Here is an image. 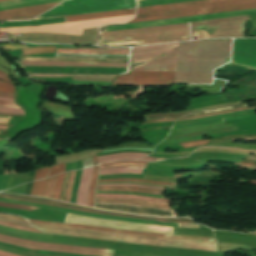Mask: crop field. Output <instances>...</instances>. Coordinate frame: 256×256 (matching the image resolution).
Listing matches in <instances>:
<instances>
[{"label": "crop field", "mask_w": 256, "mask_h": 256, "mask_svg": "<svg viewBox=\"0 0 256 256\" xmlns=\"http://www.w3.org/2000/svg\"><path fill=\"white\" fill-rule=\"evenodd\" d=\"M254 14H256V10L232 12V13H224V14H216V15H208V16H200V17H191V18L132 23V24H125V25H113V26H106L104 32L158 26V25L176 24V23H184V22H193V21H201V20L219 19V18H227V17L254 15ZM189 37H190L189 25L188 23H184V24H176V25H167V26H158V27L102 33L100 37V43L136 40L141 42L142 44H149V43H158V42H166V41L185 40V39H189Z\"/></svg>", "instance_id": "obj_1"}, {"label": "crop field", "mask_w": 256, "mask_h": 256, "mask_svg": "<svg viewBox=\"0 0 256 256\" xmlns=\"http://www.w3.org/2000/svg\"><path fill=\"white\" fill-rule=\"evenodd\" d=\"M230 40L179 43L175 83L212 84V69L226 63Z\"/></svg>", "instance_id": "obj_2"}, {"label": "crop field", "mask_w": 256, "mask_h": 256, "mask_svg": "<svg viewBox=\"0 0 256 256\" xmlns=\"http://www.w3.org/2000/svg\"><path fill=\"white\" fill-rule=\"evenodd\" d=\"M178 43L134 48L131 71H175ZM175 72H131L118 76L111 86H149L174 83ZM110 86V87H111Z\"/></svg>", "instance_id": "obj_3"}, {"label": "crop field", "mask_w": 256, "mask_h": 256, "mask_svg": "<svg viewBox=\"0 0 256 256\" xmlns=\"http://www.w3.org/2000/svg\"><path fill=\"white\" fill-rule=\"evenodd\" d=\"M256 8V0H204L138 8L130 22ZM129 22V23H130Z\"/></svg>", "instance_id": "obj_4"}, {"label": "crop field", "mask_w": 256, "mask_h": 256, "mask_svg": "<svg viewBox=\"0 0 256 256\" xmlns=\"http://www.w3.org/2000/svg\"><path fill=\"white\" fill-rule=\"evenodd\" d=\"M28 221L29 223H36V224L64 226V227L80 228V229H91V230H99V231L128 234V235H137V236L164 237V238H172V239H186V240H200V241H215V238L161 235V234H172L173 228H169V227L142 225V224L127 223V222L113 221V220L100 219V218H88V217L71 215V214H67L65 223H79V224L120 228V229L136 230V231L151 232V233H161V234H151V233L135 232V231H128V230H120V229L86 226V225H79V224H62V223H56V222L36 221V220H29V219ZM113 224H123L125 226H119V225H113Z\"/></svg>", "instance_id": "obj_5"}, {"label": "crop field", "mask_w": 256, "mask_h": 256, "mask_svg": "<svg viewBox=\"0 0 256 256\" xmlns=\"http://www.w3.org/2000/svg\"><path fill=\"white\" fill-rule=\"evenodd\" d=\"M31 226L44 233H49V234L79 236V237L103 239V240H109V241H123V242L134 243V244H151V245H162V246L217 251L215 242L144 238V237H137V236H127V235H119V234H112V233H105V232L70 229V228H62V227H51V226L34 225V224H31Z\"/></svg>", "instance_id": "obj_6"}, {"label": "crop field", "mask_w": 256, "mask_h": 256, "mask_svg": "<svg viewBox=\"0 0 256 256\" xmlns=\"http://www.w3.org/2000/svg\"><path fill=\"white\" fill-rule=\"evenodd\" d=\"M136 7L135 0H69L37 18L98 12ZM36 19V18H35Z\"/></svg>", "instance_id": "obj_7"}, {"label": "crop field", "mask_w": 256, "mask_h": 256, "mask_svg": "<svg viewBox=\"0 0 256 256\" xmlns=\"http://www.w3.org/2000/svg\"><path fill=\"white\" fill-rule=\"evenodd\" d=\"M133 17L134 15L64 23V24L47 25V26H35V27L25 26V27H16V28H4V29H0V32H10V33L57 32V33L81 35L82 28L99 27L100 25H104L107 23H122L130 20Z\"/></svg>", "instance_id": "obj_8"}, {"label": "crop field", "mask_w": 256, "mask_h": 256, "mask_svg": "<svg viewBox=\"0 0 256 256\" xmlns=\"http://www.w3.org/2000/svg\"><path fill=\"white\" fill-rule=\"evenodd\" d=\"M0 1H5V0H0ZM60 1H64V0H12V1H5V2H0V11L35 6V5L55 3V2H60ZM57 4H59V3L29 7V8H22V9H15V10H8V11H1L0 12V20L30 19L42 12L54 7Z\"/></svg>", "instance_id": "obj_9"}, {"label": "crop field", "mask_w": 256, "mask_h": 256, "mask_svg": "<svg viewBox=\"0 0 256 256\" xmlns=\"http://www.w3.org/2000/svg\"><path fill=\"white\" fill-rule=\"evenodd\" d=\"M244 20L249 16L190 23L191 31L204 30L210 38L243 37Z\"/></svg>", "instance_id": "obj_10"}, {"label": "crop field", "mask_w": 256, "mask_h": 256, "mask_svg": "<svg viewBox=\"0 0 256 256\" xmlns=\"http://www.w3.org/2000/svg\"><path fill=\"white\" fill-rule=\"evenodd\" d=\"M0 197L10 198L13 200L24 201V202H35V203L59 206V207L75 209V210H80V211H85V212H90V213H97V214L140 218V219L157 220V221L193 223V221L190 220L189 218H158V217H144V216L128 215V214H122V213H117V212H107V211H103V210H97V209H92V208H88V207L77 206V205H73V204L62 203V202H58V201H54V200L36 198V197L10 195V194H2V193H0Z\"/></svg>", "instance_id": "obj_11"}, {"label": "crop field", "mask_w": 256, "mask_h": 256, "mask_svg": "<svg viewBox=\"0 0 256 256\" xmlns=\"http://www.w3.org/2000/svg\"><path fill=\"white\" fill-rule=\"evenodd\" d=\"M131 14H135V9L114 11V12H105V13H96V14H87V15H79V16H70V17H66V18H67L68 22H72V21L106 18V17H114V16H123V15H131ZM66 18L62 17V18L26 21V22H0V28L1 27L25 26V25H44V24L63 23V22H67Z\"/></svg>", "instance_id": "obj_12"}, {"label": "crop field", "mask_w": 256, "mask_h": 256, "mask_svg": "<svg viewBox=\"0 0 256 256\" xmlns=\"http://www.w3.org/2000/svg\"><path fill=\"white\" fill-rule=\"evenodd\" d=\"M27 73L121 74L127 68L23 67Z\"/></svg>", "instance_id": "obj_13"}, {"label": "crop field", "mask_w": 256, "mask_h": 256, "mask_svg": "<svg viewBox=\"0 0 256 256\" xmlns=\"http://www.w3.org/2000/svg\"><path fill=\"white\" fill-rule=\"evenodd\" d=\"M0 201L6 202V203L25 204V205H30V206L42 207V208H46V209H52V210L60 211V212H67V213H72V214L94 216V217L114 219V220L127 221V222H136V223L150 224V225H163V226H179V227H184V224H179V223H167V222H157V221H147V220H139V219H131V218H121V217L97 215V214H90V213L74 211V210H69V209H64V208H58V207H53V206H47V205L18 202V201H13V200L4 199V198H0ZM185 227H199V226L195 225V224H185Z\"/></svg>", "instance_id": "obj_14"}, {"label": "crop field", "mask_w": 256, "mask_h": 256, "mask_svg": "<svg viewBox=\"0 0 256 256\" xmlns=\"http://www.w3.org/2000/svg\"><path fill=\"white\" fill-rule=\"evenodd\" d=\"M233 62L256 66V39H235Z\"/></svg>", "instance_id": "obj_15"}, {"label": "crop field", "mask_w": 256, "mask_h": 256, "mask_svg": "<svg viewBox=\"0 0 256 256\" xmlns=\"http://www.w3.org/2000/svg\"><path fill=\"white\" fill-rule=\"evenodd\" d=\"M95 208L128 212V213H136V214H140V215L173 217L172 210L150 209V208L133 206V205H129V204L96 203Z\"/></svg>", "instance_id": "obj_16"}, {"label": "crop field", "mask_w": 256, "mask_h": 256, "mask_svg": "<svg viewBox=\"0 0 256 256\" xmlns=\"http://www.w3.org/2000/svg\"><path fill=\"white\" fill-rule=\"evenodd\" d=\"M56 53H113L129 54V49L95 50V49H57ZM129 55H93V54H56V57H92V58H128Z\"/></svg>", "instance_id": "obj_17"}, {"label": "crop field", "mask_w": 256, "mask_h": 256, "mask_svg": "<svg viewBox=\"0 0 256 256\" xmlns=\"http://www.w3.org/2000/svg\"><path fill=\"white\" fill-rule=\"evenodd\" d=\"M24 65L127 67L128 63L21 61Z\"/></svg>", "instance_id": "obj_18"}, {"label": "crop field", "mask_w": 256, "mask_h": 256, "mask_svg": "<svg viewBox=\"0 0 256 256\" xmlns=\"http://www.w3.org/2000/svg\"><path fill=\"white\" fill-rule=\"evenodd\" d=\"M93 174V167L83 169L81 174V180L77 192V204H83L87 206V193L91 181V177Z\"/></svg>", "instance_id": "obj_19"}, {"label": "crop field", "mask_w": 256, "mask_h": 256, "mask_svg": "<svg viewBox=\"0 0 256 256\" xmlns=\"http://www.w3.org/2000/svg\"><path fill=\"white\" fill-rule=\"evenodd\" d=\"M28 75L41 76V77L73 76V79L102 81V82H109L112 78L117 76V75H72V74H28Z\"/></svg>", "instance_id": "obj_20"}, {"label": "crop field", "mask_w": 256, "mask_h": 256, "mask_svg": "<svg viewBox=\"0 0 256 256\" xmlns=\"http://www.w3.org/2000/svg\"><path fill=\"white\" fill-rule=\"evenodd\" d=\"M0 237L10 239V240H13V241H17V242H21V243L42 245V246L64 247V248H73V249H79V250H85V251H98V252H110V253H113V251H114V250H110V249L85 248V247H76V246H68V245H61V244L32 242V241L12 238V237H8V236H4V235H0Z\"/></svg>", "instance_id": "obj_21"}, {"label": "crop field", "mask_w": 256, "mask_h": 256, "mask_svg": "<svg viewBox=\"0 0 256 256\" xmlns=\"http://www.w3.org/2000/svg\"><path fill=\"white\" fill-rule=\"evenodd\" d=\"M96 191H127V192H143L156 195H163L162 190L138 188V187H97Z\"/></svg>", "instance_id": "obj_22"}, {"label": "crop field", "mask_w": 256, "mask_h": 256, "mask_svg": "<svg viewBox=\"0 0 256 256\" xmlns=\"http://www.w3.org/2000/svg\"><path fill=\"white\" fill-rule=\"evenodd\" d=\"M96 198L138 199V200H145V201L166 203V204H169L170 202V200L168 199H158V198H149V197H142V196H135V195H118V194H96Z\"/></svg>", "instance_id": "obj_23"}, {"label": "crop field", "mask_w": 256, "mask_h": 256, "mask_svg": "<svg viewBox=\"0 0 256 256\" xmlns=\"http://www.w3.org/2000/svg\"><path fill=\"white\" fill-rule=\"evenodd\" d=\"M0 241L1 242H5V243H9V244H12V245H16V246L27 247V248H35V249L67 252V253H76V254H87V255H98V256H112L110 254H104V253L84 252V251H74V250H63V249H51V248H41L42 246L41 247H33L34 245L33 246H28V245H24V244H21V243L5 240V239H1V238H0Z\"/></svg>", "instance_id": "obj_24"}, {"label": "crop field", "mask_w": 256, "mask_h": 256, "mask_svg": "<svg viewBox=\"0 0 256 256\" xmlns=\"http://www.w3.org/2000/svg\"><path fill=\"white\" fill-rule=\"evenodd\" d=\"M192 110L189 111H180V112H173V113H162V114H149L143 115L146 121L150 120H158V119H166V118H179L183 115L190 113Z\"/></svg>", "instance_id": "obj_25"}, {"label": "crop field", "mask_w": 256, "mask_h": 256, "mask_svg": "<svg viewBox=\"0 0 256 256\" xmlns=\"http://www.w3.org/2000/svg\"><path fill=\"white\" fill-rule=\"evenodd\" d=\"M0 246L19 250V251H25V252H31V253H42V254H48V255H57V256H87V255H76V254H67V253H59V252H49V251H39V250H33V249H27V248H20L8 244H4L0 242Z\"/></svg>", "instance_id": "obj_26"}, {"label": "crop field", "mask_w": 256, "mask_h": 256, "mask_svg": "<svg viewBox=\"0 0 256 256\" xmlns=\"http://www.w3.org/2000/svg\"><path fill=\"white\" fill-rule=\"evenodd\" d=\"M186 1H195V0H141V1H137V3H138V7H142V6L169 4V3L186 2Z\"/></svg>", "instance_id": "obj_27"}, {"label": "crop field", "mask_w": 256, "mask_h": 256, "mask_svg": "<svg viewBox=\"0 0 256 256\" xmlns=\"http://www.w3.org/2000/svg\"><path fill=\"white\" fill-rule=\"evenodd\" d=\"M97 173H98V165L94 166V174H93V178H92L89 193H88V206L90 207H93V204H94V190L96 185Z\"/></svg>", "instance_id": "obj_28"}, {"label": "crop field", "mask_w": 256, "mask_h": 256, "mask_svg": "<svg viewBox=\"0 0 256 256\" xmlns=\"http://www.w3.org/2000/svg\"><path fill=\"white\" fill-rule=\"evenodd\" d=\"M58 176V175H57ZM57 176L48 178L46 180V184H45V188H44V194L43 196L45 197H53L54 194V190H55V184H56V180H57Z\"/></svg>", "instance_id": "obj_29"}, {"label": "crop field", "mask_w": 256, "mask_h": 256, "mask_svg": "<svg viewBox=\"0 0 256 256\" xmlns=\"http://www.w3.org/2000/svg\"><path fill=\"white\" fill-rule=\"evenodd\" d=\"M56 47H40V48H30L20 50L22 54H36V53H50L55 52Z\"/></svg>", "instance_id": "obj_30"}, {"label": "crop field", "mask_w": 256, "mask_h": 256, "mask_svg": "<svg viewBox=\"0 0 256 256\" xmlns=\"http://www.w3.org/2000/svg\"><path fill=\"white\" fill-rule=\"evenodd\" d=\"M217 244H218V251L220 252H225L227 250H232L237 248H244V249L251 248L247 245H241V244H229V243H220V242H217Z\"/></svg>", "instance_id": "obj_31"}, {"label": "crop field", "mask_w": 256, "mask_h": 256, "mask_svg": "<svg viewBox=\"0 0 256 256\" xmlns=\"http://www.w3.org/2000/svg\"><path fill=\"white\" fill-rule=\"evenodd\" d=\"M45 180L34 182L30 195L42 196Z\"/></svg>", "instance_id": "obj_32"}, {"label": "crop field", "mask_w": 256, "mask_h": 256, "mask_svg": "<svg viewBox=\"0 0 256 256\" xmlns=\"http://www.w3.org/2000/svg\"><path fill=\"white\" fill-rule=\"evenodd\" d=\"M142 170L143 169H112L107 171H100V175L116 173H142Z\"/></svg>", "instance_id": "obj_33"}, {"label": "crop field", "mask_w": 256, "mask_h": 256, "mask_svg": "<svg viewBox=\"0 0 256 256\" xmlns=\"http://www.w3.org/2000/svg\"><path fill=\"white\" fill-rule=\"evenodd\" d=\"M0 112L24 115V111L12 107L0 106Z\"/></svg>", "instance_id": "obj_34"}, {"label": "crop field", "mask_w": 256, "mask_h": 256, "mask_svg": "<svg viewBox=\"0 0 256 256\" xmlns=\"http://www.w3.org/2000/svg\"><path fill=\"white\" fill-rule=\"evenodd\" d=\"M140 157L142 156H119L114 158L101 159V160H98V163L115 161V160H123V159H138Z\"/></svg>", "instance_id": "obj_35"}, {"label": "crop field", "mask_w": 256, "mask_h": 256, "mask_svg": "<svg viewBox=\"0 0 256 256\" xmlns=\"http://www.w3.org/2000/svg\"><path fill=\"white\" fill-rule=\"evenodd\" d=\"M0 91L14 93V85L0 81Z\"/></svg>", "instance_id": "obj_36"}, {"label": "crop field", "mask_w": 256, "mask_h": 256, "mask_svg": "<svg viewBox=\"0 0 256 256\" xmlns=\"http://www.w3.org/2000/svg\"><path fill=\"white\" fill-rule=\"evenodd\" d=\"M0 206L1 207H10V208L22 209V210H28V211H33V210L37 209L35 207L20 206V205L5 204V203H0Z\"/></svg>", "instance_id": "obj_37"}, {"label": "crop field", "mask_w": 256, "mask_h": 256, "mask_svg": "<svg viewBox=\"0 0 256 256\" xmlns=\"http://www.w3.org/2000/svg\"><path fill=\"white\" fill-rule=\"evenodd\" d=\"M244 106H247V105L246 104H241V105H236V106H231V107H226V108L213 109V110H208V111L195 113V114H192V115L207 114V113H212V112H216V111L227 110V109H232V108H237V107H244ZM189 116H191V115H189Z\"/></svg>", "instance_id": "obj_38"}, {"label": "crop field", "mask_w": 256, "mask_h": 256, "mask_svg": "<svg viewBox=\"0 0 256 256\" xmlns=\"http://www.w3.org/2000/svg\"><path fill=\"white\" fill-rule=\"evenodd\" d=\"M76 171L72 172L65 201L69 202Z\"/></svg>", "instance_id": "obj_39"}, {"label": "crop field", "mask_w": 256, "mask_h": 256, "mask_svg": "<svg viewBox=\"0 0 256 256\" xmlns=\"http://www.w3.org/2000/svg\"><path fill=\"white\" fill-rule=\"evenodd\" d=\"M209 140H199V141H194V142H189V143H184L180 144L184 148L188 147H194V146H199V145H204L208 142Z\"/></svg>", "instance_id": "obj_40"}, {"label": "crop field", "mask_w": 256, "mask_h": 256, "mask_svg": "<svg viewBox=\"0 0 256 256\" xmlns=\"http://www.w3.org/2000/svg\"><path fill=\"white\" fill-rule=\"evenodd\" d=\"M0 225H4V226H8V227H12V228H16V229H21V230H27V231H33V232H39L35 229L32 228H27V227H22V226H18V225H14V224H10V223H6V222H0ZM41 233V232H39Z\"/></svg>", "instance_id": "obj_41"}, {"label": "crop field", "mask_w": 256, "mask_h": 256, "mask_svg": "<svg viewBox=\"0 0 256 256\" xmlns=\"http://www.w3.org/2000/svg\"><path fill=\"white\" fill-rule=\"evenodd\" d=\"M118 180L143 181V182L161 183V184H169V185H176L177 184V183H163V182L145 181V180H140V179H109V180H99L98 182L118 181Z\"/></svg>", "instance_id": "obj_42"}, {"label": "crop field", "mask_w": 256, "mask_h": 256, "mask_svg": "<svg viewBox=\"0 0 256 256\" xmlns=\"http://www.w3.org/2000/svg\"><path fill=\"white\" fill-rule=\"evenodd\" d=\"M65 169V164L62 165H58L56 167H51L50 168V173H49V177L58 173L63 172Z\"/></svg>", "instance_id": "obj_43"}, {"label": "crop field", "mask_w": 256, "mask_h": 256, "mask_svg": "<svg viewBox=\"0 0 256 256\" xmlns=\"http://www.w3.org/2000/svg\"><path fill=\"white\" fill-rule=\"evenodd\" d=\"M47 172H48V168H40L36 170V177L34 180L46 178Z\"/></svg>", "instance_id": "obj_44"}, {"label": "crop field", "mask_w": 256, "mask_h": 256, "mask_svg": "<svg viewBox=\"0 0 256 256\" xmlns=\"http://www.w3.org/2000/svg\"><path fill=\"white\" fill-rule=\"evenodd\" d=\"M63 174H60L59 177H58V182H57V187H56V191H55V195H54V199H57L59 198V193H60V189H61V184H62V180H63Z\"/></svg>", "instance_id": "obj_45"}, {"label": "crop field", "mask_w": 256, "mask_h": 256, "mask_svg": "<svg viewBox=\"0 0 256 256\" xmlns=\"http://www.w3.org/2000/svg\"><path fill=\"white\" fill-rule=\"evenodd\" d=\"M2 46L6 51L21 49V48H28V47H25L22 45H16V44H3Z\"/></svg>", "instance_id": "obj_46"}, {"label": "crop field", "mask_w": 256, "mask_h": 256, "mask_svg": "<svg viewBox=\"0 0 256 256\" xmlns=\"http://www.w3.org/2000/svg\"><path fill=\"white\" fill-rule=\"evenodd\" d=\"M97 186H139V187L155 188V189H162V190L166 189L161 187H149V186H141L136 184H107V185H97Z\"/></svg>", "instance_id": "obj_47"}, {"label": "crop field", "mask_w": 256, "mask_h": 256, "mask_svg": "<svg viewBox=\"0 0 256 256\" xmlns=\"http://www.w3.org/2000/svg\"><path fill=\"white\" fill-rule=\"evenodd\" d=\"M96 202H110V201H96ZM112 203H129V202H112ZM129 204H134V205H139V206H144V207H150V208L170 209L169 207H164V206H150V205H146V204H137V203H129Z\"/></svg>", "instance_id": "obj_48"}, {"label": "crop field", "mask_w": 256, "mask_h": 256, "mask_svg": "<svg viewBox=\"0 0 256 256\" xmlns=\"http://www.w3.org/2000/svg\"><path fill=\"white\" fill-rule=\"evenodd\" d=\"M223 121V119H218V120H212V121H208V122H202V123H194V124H186V125H179V126H173L172 129L174 128H181V127H188V126H194V125H199V124H204V123H212V122H220Z\"/></svg>", "instance_id": "obj_49"}, {"label": "crop field", "mask_w": 256, "mask_h": 256, "mask_svg": "<svg viewBox=\"0 0 256 256\" xmlns=\"http://www.w3.org/2000/svg\"><path fill=\"white\" fill-rule=\"evenodd\" d=\"M96 193L135 194V195L150 196V197H158V198H162V197H163V196H156V195L143 194V193H127V192H96Z\"/></svg>", "instance_id": "obj_50"}, {"label": "crop field", "mask_w": 256, "mask_h": 256, "mask_svg": "<svg viewBox=\"0 0 256 256\" xmlns=\"http://www.w3.org/2000/svg\"><path fill=\"white\" fill-rule=\"evenodd\" d=\"M203 148H213V149H227V150H236V151H242V152H248L256 154V151H250V150H241V149H235V148H224V147H203Z\"/></svg>", "instance_id": "obj_51"}, {"label": "crop field", "mask_w": 256, "mask_h": 256, "mask_svg": "<svg viewBox=\"0 0 256 256\" xmlns=\"http://www.w3.org/2000/svg\"><path fill=\"white\" fill-rule=\"evenodd\" d=\"M117 165H142V166H146L147 164H142V163L110 164V165H103V166H100V168H103V167H110V166H117Z\"/></svg>", "instance_id": "obj_52"}, {"label": "crop field", "mask_w": 256, "mask_h": 256, "mask_svg": "<svg viewBox=\"0 0 256 256\" xmlns=\"http://www.w3.org/2000/svg\"><path fill=\"white\" fill-rule=\"evenodd\" d=\"M83 168L93 166L92 157L86 160H82Z\"/></svg>", "instance_id": "obj_53"}, {"label": "crop field", "mask_w": 256, "mask_h": 256, "mask_svg": "<svg viewBox=\"0 0 256 256\" xmlns=\"http://www.w3.org/2000/svg\"><path fill=\"white\" fill-rule=\"evenodd\" d=\"M125 154L143 155V156L148 155V154H142V153H120V154H114V155L100 156L97 158L100 159V158L111 157V156H116V155H125Z\"/></svg>", "instance_id": "obj_54"}, {"label": "crop field", "mask_w": 256, "mask_h": 256, "mask_svg": "<svg viewBox=\"0 0 256 256\" xmlns=\"http://www.w3.org/2000/svg\"><path fill=\"white\" fill-rule=\"evenodd\" d=\"M0 220L2 221H7V222H11V223H15V224H18V225H23V226H29V224H26V223H22V222H18V221H14V220H10V219H4V218H0Z\"/></svg>", "instance_id": "obj_55"}, {"label": "crop field", "mask_w": 256, "mask_h": 256, "mask_svg": "<svg viewBox=\"0 0 256 256\" xmlns=\"http://www.w3.org/2000/svg\"><path fill=\"white\" fill-rule=\"evenodd\" d=\"M0 105H7V106L20 108L14 102H7V101H1V100H0Z\"/></svg>", "instance_id": "obj_56"}, {"label": "crop field", "mask_w": 256, "mask_h": 256, "mask_svg": "<svg viewBox=\"0 0 256 256\" xmlns=\"http://www.w3.org/2000/svg\"><path fill=\"white\" fill-rule=\"evenodd\" d=\"M0 217H5V218H10V219H15V220H19V221L27 222L26 220H24V219H22V218L13 217V216L4 215V214H0Z\"/></svg>", "instance_id": "obj_57"}, {"label": "crop field", "mask_w": 256, "mask_h": 256, "mask_svg": "<svg viewBox=\"0 0 256 256\" xmlns=\"http://www.w3.org/2000/svg\"><path fill=\"white\" fill-rule=\"evenodd\" d=\"M0 79L12 83V81L8 79V75L2 72H0Z\"/></svg>", "instance_id": "obj_58"}, {"label": "crop field", "mask_w": 256, "mask_h": 256, "mask_svg": "<svg viewBox=\"0 0 256 256\" xmlns=\"http://www.w3.org/2000/svg\"><path fill=\"white\" fill-rule=\"evenodd\" d=\"M125 167L146 168V167H141V166H117V167L103 168L100 170H107V169H112V168H125Z\"/></svg>", "instance_id": "obj_59"}, {"label": "crop field", "mask_w": 256, "mask_h": 256, "mask_svg": "<svg viewBox=\"0 0 256 256\" xmlns=\"http://www.w3.org/2000/svg\"><path fill=\"white\" fill-rule=\"evenodd\" d=\"M120 149H140V150H150V151L153 150V149H143V148H118V149L106 150V151H104V152L115 151V150H120ZM101 153H102V152H101Z\"/></svg>", "instance_id": "obj_60"}, {"label": "crop field", "mask_w": 256, "mask_h": 256, "mask_svg": "<svg viewBox=\"0 0 256 256\" xmlns=\"http://www.w3.org/2000/svg\"><path fill=\"white\" fill-rule=\"evenodd\" d=\"M138 160L159 161V160H163V159L144 157V158H141V159H138Z\"/></svg>", "instance_id": "obj_61"}, {"label": "crop field", "mask_w": 256, "mask_h": 256, "mask_svg": "<svg viewBox=\"0 0 256 256\" xmlns=\"http://www.w3.org/2000/svg\"><path fill=\"white\" fill-rule=\"evenodd\" d=\"M0 256H18V255H13V254H9V253L0 251Z\"/></svg>", "instance_id": "obj_62"}, {"label": "crop field", "mask_w": 256, "mask_h": 256, "mask_svg": "<svg viewBox=\"0 0 256 256\" xmlns=\"http://www.w3.org/2000/svg\"><path fill=\"white\" fill-rule=\"evenodd\" d=\"M0 96L13 98V95H12V94L1 93V92H0Z\"/></svg>", "instance_id": "obj_63"}, {"label": "crop field", "mask_w": 256, "mask_h": 256, "mask_svg": "<svg viewBox=\"0 0 256 256\" xmlns=\"http://www.w3.org/2000/svg\"><path fill=\"white\" fill-rule=\"evenodd\" d=\"M121 162H142V161H121ZM112 163H118V162H112ZM142 163H148V162H142ZM104 164H109V163H104Z\"/></svg>", "instance_id": "obj_64"}, {"label": "crop field", "mask_w": 256, "mask_h": 256, "mask_svg": "<svg viewBox=\"0 0 256 256\" xmlns=\"http://www.w3.org/2000/svg\"><path fill=\"white\" fill-rule=\"evenodd\" d=\"M232 141L256 140V139H231Z\"/></svg>", "instance_id": "obj_65"}, {"label": "crop field", "mask_w": 256, "mask_h": 256, "mask_svg": "<svg viewBox=\"0 0 256 256\" xmlns=\"http://www.w3.org/2000/svg\"><path fill=\"white\" fill-rule=\"evenodd\" d=\"M93 159H94V165H96V164H97V158H96V155H95V156H93Z\"/></svg>", "instance_id": "obj_66"}, {"label": "crop field", "mask_w": 256, "mask_h": 256, "mask_svg": "<svg viewBox=\"0 0 256 256\" xmlns=\"http://www.w3.org/2000/svg\"><path fill=\"white\" fill-rule=\"evenodd\" d=\"M0 122L6 123V122H7V119H0Z\"/></svg>", "instance_id": "obj_67"}, {"label": "crop field", "mask_w": 256, "mask_h": 256, "mask_svg": "<svg viewBox=\"0 0 256 256\" xmlns=\"http://www.w3.org/2000/svg\"><path fill=\"white\" fill-rule=\"evenodd\" d=\"M9 127L7 126H0V129H8Z\"/></svg>", "instance_id": "obj_68"}, {"label": "crop field", "mask_w": 256, "mask_h": 256, "mask_svg": "<svg viewBox=\"0 0 256 256\" xmlns=\"http://www.w3.org/2000/svg\"><path fill=\"white\" fill-rule=\"evenodd\" d=\"M0 99H2V100H11V101H13V99H9V98H1V97H0Z\"/></svg>", "instance_id": "obj_69"}, {"label": "crop field", "mask_w": 256, "mask_h": 256, "mask_svg": "<svg viewBox=\"0 0 256 256\" xmlns=\"http://www.w3.org/2000/svg\"><path fill=\"white\" fill-rule=\"evenodd\" d=\"M0 118H8L7 116H0Z\"/></svg>", "instance_id": "obj_70"}, {"label": "crop field", "mask_w": 256, "mask_h": 256, "mask_svg": "<svg viewBox=\"0 0 256 256\" xmlns=\"http://www.w3.org/2000/svg\"><path fill=\"white\" fill-rule=\"evenodd\" d=\"M252 234H256V232H255V233H252Z\"/></svg>", "instance_id": "obj_71"}, {"label": "crop field", "mask_w": 256, "mask_h": 256, "mask_svg": "<svg viewBox=\"0 0 256 256\" xmlns=\"http://www.w3.org/2000/svg\"><path fill=\"white\" fill-rule=\"evenodd\" d=\"M1 139V138H0Z\"/></svg>", "instance_id": "obj_72"}]
</instances>
